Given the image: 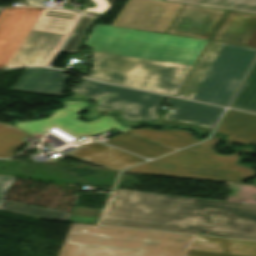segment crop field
Here are the masks:
<instances>
[{
  "mask_svg": "<svg viewBox=\"0 0 256 256\" xmlns=\"http://www.w3.org/2000/svg\"><path fill=\"white\" fill-rule=\"evenodd\" d=\"M207 41L95 24L87 78L176 95Z\"/></svg>",
  "mask_w": 256,
  "mask_h": 256,
  "instance_id": "1",
  "label": "crop field"
},
{
  "mask_svg": "<svg viewBox=\"0 0 256 256\" xmlns=\"http://www.w3.org/2000/svg\"><path fill=\"white\" fill-rule=\"evenodd\" d=\"M100 224L256 240V205L115 189Z\"/></svg>",
  "mask_w": 256,
  "mask_h": 256,
  "instance_id": "2",
  "label": "crop field"
},
{
  "mask_svg": "<svg viewBox=\"0 0 256 256\" xmlns=\"http://www.w3.org/2000/svg\"><path fill=\"white\" fill-rule=\"evenodd\" d=\"M79 16L64 9L0 7V68L46 66Z\"/></svg>",
  "mask_w": 256,
  "mask_h": 256,
  "instance_id": "3",
  "label": "crop field"
},
{
  "mask_svg": "<svg viewBox=\"0 0 256 256\" xmlns=\"http://www.w3.org/2000/svg\"><path fill=\"white\" fill-rule=\"evenodd\" d=\"M63 103L66 108L55 111L48 119L19 123L14 126L31 135H43L48 130L58 127L77 138L92 136L114 127L124 134L104 143L149 159L201 141L195 139L188 131L170 129L160 131L151 129L135 130L123 127L120 123L114 121L112 116H103L95 121L85 123L79 119V114L88 105L86 101L65 100Z\"/></svg>",
  "mask_w": 256,
  "mask_h": 256,
  "instance_id": "4",
  "label": "crop field"
},
{
  "mask_svg": "<svg viewBox=\"0 0 256 256\" xmlns=\"http://www.w3.org/2000/svg\"><path fill=\"white\" fill-rule=\"evenodd\" d=\"M189 236L72 223L58 256H181Z\"/></svg>",
  "mask_w": 256,
  "mask_h": 256,
  "instance_id": "5",
  "label": "crop field"
},
{
  "mask_svg": "<svg viewBox=\"0 0 256 256\" xmlns=\"http://www.w3.org/2000/svg\"><path fill=\"white\" fill-rule=\"evenodd\" d=\"M255 57L256 49L208 41L177 96L227 106Z\"/></svg>",
  "mask_w": 256,
  "mask_h": 256,
  "instance_id": "6",
  "label": "crop field"
},
{
  "mask_svg": "<svg viewBox=\"0 0 256 256\" xmlns=\"http://www.w3.org/2000/svg\"><path fill=\"white\" fill-rule=\"evenodd\" d=\"M219 140V136L213 137L203 143L135 166L127 171L239 184L255 176L256 173L252 168L236 165L239 159L238 153L249 152L252 149L244 148L233 155H220L214 149Z\"/></svg>",
  "mask_w": 256,
  "mask_h": 256,
  "instance_id": "7",
  "label": "crop field"
},
{
  "mask_svg": "<svg viewBox=\"0 0 256 256\" xmlns=\"http://www.w3.org/2000/svg\"><path fill=\"white\" fill-rule=\"evenodd\" d=\"M70 91L73 93L70 99L88 98L96 102L89 107L87 118L116 110L121 111L117 119L132 127L137 126L139 121H145L150 125L158 124L160 114L157 110L165 98V96L88 81L84 78Z\"/></svg>",
  "mask_w": 256,
  "mask_h": 256,
  "instance_id": "8",
  "label": "crop field"
},
{
  "mask_svg": "<svg viewBox=\"0 0 256 256\" xmlns=\"http://www.w3.org/2000/svg\"><path fill=\"white\" fill-rule=\"evenodd\" d=\"M183 4L128 0L112 25L165 33Z\"/></svg>",
  "mask_w": 256,
  "mask_h": 256,
  "instance_id": "9",
  "label": "crop field"
},
{
  "mask_svg": "<svg viewBox=\"0 0 256 256\" xmlns=\"http://www.w3.org/2000/svg\"><path fill=\"white\" fill-rule=\"evenodd\" d=\"M226 10L184 4L168 34L208 40Z\"/></svg>",
  "mask_w": 256,
  "mask_h": 256,
  "instance_id": "10",
  "label": "crop field"
},
{
  "mask_svg": "<svg viewBox=\"0 0 256 256\" xmlns=\"http://www.w3.org/2000/svg\"><path fill=\"white\" fill-rule=\"evenodd\" d=\"M166 105L176 107L174 113L166 112L159 124L164 126L190 127L210 132L222 114V108L168 97Z\"/></svg>",
  "mask_w": 256,
  "mask_h": 256,
  "instance_id": "11",
  "label": "crop field"
},
{
  "mask_svg": "<svg viewBox=\"0 0 256 256\" xmlns=\"http://www.w3.org/2000/svg\"><path fill=\"white\" fill-rule=\"evenodd\" d=\"M182 256H256V242L191 235Z\"/></svg>",
  "mask_w": 256,
  "mask_h": 256,
  "instance_id": "12",
  "label": "crop field"
},
{
  "mask_svg": "<svg viewBox=\"0 0 256 256\" xmlns=\"http://www.w3.org/2000/svg\"><path fill=\"white\" fill-rule=\"evenodd\" d=\"M67 155L82 162L91 163L121 171L126 167L145 161L129 153L116 150L100 143L83 145L80 149L68 152Z\"/></svg>",
  "mask_w": 256,
  "mask_h": 256,
  "instance_id": "13",
  "label": "crop field"
},
{
  "mask_svg": "<svg viewBox=\"0 0 256 256\" xmlns=\"http://www.w3.org/2000/svg\"><path fill=\"white\" fill-rule=\"evenodd\" d=\"M64 73V71L49 68H27L11 89L61 95L63 92L62 83L69 77Z\"/></svg>",
  "mask_w": 256,
  "mask_h": 256,
  "instance_id": "14",
  "label": "crop field"
},
{
  "mask_svg": "<svg viewBox=\"0 0 256 256\" xmlns=\"http://www.w3.org/2000/svg\"><path fill=\"white\" fill-rule=\"evenodd\" d=\"M216 130L227 135V148H231L232 142L256 143V115L227 110Z\"/></svg>",
  "mask_w": 256,
  "mask_h": 256,
  "instance_id": "15",
  "label": "crop field"
},
{
  "mask_svg": "<svg viewBox=\"0 0 256 256\" xmlns=\"http://www.w3.org/2000/svg\"><path fill=\"white\" fill-rule=\"evenodd\" d=\"M256 28V15L228 11L211 40L245 45Z\"/></svg>",
  "mask_w": 256,
  "mask_h": 256,
  "instance_id": "16",
  "label": "crop field"
},
{
  "mask_svg": "<svg viewBox=\"0 0 256 256\" xmlns=\"http://www.w3.org/2000/svg\"><path fill=\"white\" fill-rule=\"evenodd\" d=\"M230 107L256 112V63Z\"/></svg>",
  "mask_w": 256,
  "mask_h": 256,
  "instance_id": "17",
  "label": "crop field"
},
{
  "mask_svg": "<svg viewBox=\"0 0 256 256\" xmlns=\"http://www.w3.org/2000/svg\"><path fill=\"white\" fill-rule=\"evenodd\" d=\"M28 133L6 124L0 123V158L13 156L16 149L23 144L22 137Z\"/></svg>",
  "mask_w": 256,
  "mask_h": 256,
  "instance_id": "18",
  "label": "crop field"
},
{
  "mask_svg": "<svg viewBox=\"0 0 256 256\" xmlns=\"http://www.w3.org/2000/svg\"><path fill=\"white\" fill-rule=\"evenodd\" d=\"M256 14V0H165Z\"/></svg>",
  "mask_w": 256,
  "mask_h": 256,
  "instance_id": "19",
  "label": "crop field"
},
{
  "mask_svg": "<svg viewBox=\"0 0 256 256\" xmlns=\"http://www.w3.org/2000/svg\"><path fill=\"white\" fill-rule=\"evenodd\" d=\"M0 209L37 216V217L48 218V219L62 220V221H66L69 216L68 213L57 212V211L31 207V206H26V205H21L16 203H10L5 201L2 202Z\"/></svg>",
  "mask_w": 256,
  "mask_h": 256,
  "instance_id": "20",
  "label": "crop field"
},
{
  "mask_svg": "<svg viewBox=\"0 0 256 256\" xmlns=\"http://www.w3.org/2000/svg\"><path fill=\"white\" fill-rule=\"evenodd\" d=\"M96 19L82 16L61 52L76 54Z\"/></svg>",
  "mask_w": 256,
  "mask_h": 256,
  "instance_id": "21",
  "label": "crop field"
},
{
  "mask_svg": "<svg viewBox=\"0 0 256 256\" xmlns=\"http://www.w3.org/2000/svg\"><path fill=\"white\" fill-rule=\"evenodd\" d=\"M103 210L74 207L68 221L97 224Z\"/></svg>",
  "mask_w": 256,
  "mask_h": 256,
  "instance_id": "22",
  "label": "crop field"
},
{
  "mask_svg": "<svg viewBox=\"0 0 256 256\" xmlns=\"http://www.w3.org/2000/svg\"><path fill=\"white\" fill-rule=\"evenodd\" d=\"M92 1L96 3V8H86L85 12L102 14L106 9L110 7L107 0H92Z\"/></svg>",
  "mask_w": 256,
  "mask_h": 256,
  "instance_id": "23",
  "label": "crop field"
},
{
  "mask_svg": "<svg viewBox=\"0 0 256 256\" xmlns=\"http://www.w3.org/2000/svg\"><path fill=\"white\" fill-rule=\"evenodd\" d=\"M12 181H13V178L0 177V203L3 200L6 192L8 191Z\"/></svg>",
  "mask_w": 256,
  "mask_h": 256,
  "instance_id": "24",
  "label": "crop field"
},
{
  "mask_svg": "<svg viewBox=\"0 0 256 256\" xmlns=\"http://www.w3.org/2000/svg\"><path fill=\"white\" fill-rule=\"evenodd\" d=\"M246 46L256 48V30L254 31V33L252 34V36L250 37V39L246 43Z\"/></svg>",
  "mask_w": 256,
  "mask_h": 256,
  "instance_id": "25",
  "label": "crop field"
},
{
  "mask_svg": "<svg viewBox=\"0 0 256 256\" xmlns=\"http://www.w3.org/2000/svg\"><path fill=\"white\" fill-rule=\"evenodd\" d=\"M29 5H34V6H42L44 3V0H26Z\"/></svg>",
  "mask_w": 256,
  "mask_h": 256,
  "instance_id": "26",
  "label": "crop field"
},
{
  "mask_svg": "<svg viewBox=\"0 0 256 256\" xmlns=\"http://www.w3.org/2000/svg\"><path fill=\"white\" fill-rule=\"evenodd\" d=\"M254 183L256 184V181Z\"/></svg>",
  "mask_w": 256,
  "mask_h": 256,
  "instance_id": "27",
  "label": "crop field"
},
{
  "mask_svg": "<svg viewBox=\"0 0 256 256\" xmlns=\"http://www.w3.org/2000/svg\"><path fill=\"white\" fill-rule=\"evenodd\" d=\"M162 1H164V0H162Z\"/></svg>",
  "mask_w": 256,
  "mask_h": 256,
  "instance_id": "28",
  "label": "crop field"
}]
</instances>
